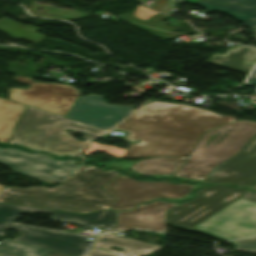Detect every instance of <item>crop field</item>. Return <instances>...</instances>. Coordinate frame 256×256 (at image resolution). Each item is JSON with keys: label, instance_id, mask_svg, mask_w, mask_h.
<instances>
[{"label": "crop field", "instance_id": "00972430", "mask_svg": "<svg viewBox=\"0 0 256 256\" xmlns=\"http://www.w3.org/2000/svg\"><path fill=\"white\" fill-rule=\"evenodd\" d=\"M166 1L167 0H156L155 3L152 6H150V8L158 11L163 7V5L166 3Z\"/></svg>", "mask_w": 256, "mask_h": 256}, {"label": "crop field", "instance_id": "cbeb9de0", "mask_svg": "<svg viewBox=\"0 0 256 256\" xmlns=\"http://www.w3.org/2000/svg\"><path fill=\"white\" fill-rule=\"evenodd\" d=\"M111 246L124 249L121 253L109 249ZM163 247L124 237L102 235L85 256H139L147 255Z\"/></svg>", "mask_w": 256, "mask_h": 256}, {"label": "crop field", "instance_id": "5a996713", "mask_svg": "<svg viewBox=\"0 0 256 256\" xmlns=\"http://www.w3.org/2000/svg\"><path fill=\"white\" fill-rule=\"evenodd\" d=\"M76 160H55L44 153L29 154L12 148L0 150V163L11 167L14 171L36 178L61 182L74 175L79 167L71 164Z\"/></svg>", "mask_w": 256, "mask_h": 256}, {"label": "crop field", "instance_id": "d9b57169", "mask_svg": "<svg viewBox=\"0 0 256 256\" xmlns=\"http://www.w3.org/2000/svg\"><path fill=\"white\" fill-rule=\"evenodd\" d=\"M27 106L0 99V142H7L18 125Z\"/></svg>", "mask_w": 256, "mask_h": 256}, {"label": "crop field", "instance_id": "34b2d1b8", "mask_svg": "<svg viewBox=\"0 0 256 256\" xmlns=\"http://www.w3.org/2000/svg\"><path fill=\"white\" fill-rule=\"evenodd\" d=\"M256 135V123L238 121L206 132L185 162L183 157H159L144 159L130 170L143 175H174L204 180L218 164L232 158Z\"/></svg>", "mask_w": 256, "mask_h": 256}, {"label": "crop field", "instance_id": "750c4746", "mask_svg": "<svg viewBox=\"0 0 256 256\" xmlns=\"http://www.w3.org/2000/svg\"><path fill=\"white\" fill-rule=\"evenodd\" d=\"M0 149H2V148L0 147Z\"/></svg>", "mask_w": 256, "mask_h": 256}, {"label": "crop field", "instance_id": "92a150f3", "mask_svg": "<svg viewBox=\"0 0 256 256\" xmlns=\"http://www.w3.org/2000/svg\"><path fill=\"white\" fill-rule=\"evenodd\" d=\"M156 12L152 11L149 8L143 7V6H139L137 7V9L134 12V16L144 20L148 17H150L151 15L155 14Z\"/></svg>", "mask_w": 256, "mask_h": 256}, {"label": "crop field", "instance_id": "bc2a9ffb", "mask_svg": "<svg viewBox=\"0 0 256 256\" xmlns=\"http://www.w3.org/2000/svg\"><path fill=\"white\" fill-rule=\"evenodd\" d=\"M95 150H100L107 154H112L117 157H123L128 149H118L116 147L105 146V145H98L94 141H91L88 148L85 150L84 155L94 153Z\"/></svg>", "mask_w": 256, "mask_h": 256}, {"label": "crop field", "instance_id": "ac0d7876", "mask_svg": "<svg viewBox=\"0 0 256 256\" xmlns=\"http://www.w3.org/2000/svg\"><path fill=\"white\" fill-rule=\"evenodd\" d=\"M120 174L117 171H103L92 165H84L75 177L53 189L3 188L0 202L78 213L108 209L115 197L101 187Z\"/></svg>", "mask_w": 256, "mask_h": 256}, {"label": "crop field", "instance_id": "e52e79f7", "mask_svg": "<svg viewBox=\"0 0 256 256\" xmlns=\"http://www.w3.org/2000/svg\"><path fill=\"white\" fill-rule=\"evenodd\" d=\"M197 186L186 183L174 185L169 182L136 181L121 174L102 188L116 197L109 209L131 210L139 203L160 197L174 199L185 197Z\"/></svg>", "mask_w": 256, "mask_h": 256}, {"label": "crop field", "instance_id": "dd49c442", "mask_svg": "<svg viewBox=\"0 0 256 256\" xmlns=\"http://www.w3.org/2000/svg\"><path fill=\"white\" fill-rule=\"evenodd\" d=\"M246 192L226 186L202 188L196 192L197 198L167 210L166 223L191 230Z\"/></svg>", "mask_w": 256, "mask_h": 256}, {"label": "crop field", "instance_id": "dafd665d", "mask_svg": "<svg viewBox=\"0 0 256 256\" xmlns=\"http://www.w3.org/2000/svg\"><path fill=\"white\" fill-rule=\"evenodd\" d=\"M223 3H246L256 7V0H215Z\"/></svg>", "mask_w": 256, "mask_h": 256}, {"label": "crop field", "instance_id": "8a807250", "mask_svg": "<svg viewBox=\"0 0 256 256\" xmlns=\"http://www.w3.org/2000/svg\"><path fill=\"white\" fill-rule=\"evenodd\" d=\"M235 120L188 105L154 101L116 128L129 131V141L141 140L129 148L124 158L188 157L205 131Z\"/></svg>", "mask_w": 256, "mask_h": 256}, {"label": "crop field", "instance_id": "22f410ed", "mask_svg": "<svg viewBox=\"0 0 256 256\" xmlns=\"http://www.w3.org/2000/svg\"><path fill=\"white\" fill-rule=\"evenodd\" d=\"M178 203L163 200L149 205H140L133 211L117 212V231L123 229H145L165 232V211Z\"/></svg>", "mask_w": 256, "mask_h": 256}, {"label": "crop field", "instance_id": "4177f3b9", "mask_svg": "<svg viewBox=\"0 0 256 256\" xmlns=\"http://www.w3.org/2000/svg\"><path fill=\"white\" fill-rule=\"evenodd\" d=\"M249 83L252 85L256 84V71L252 74V76L249 78Z\"/></svg>", "mask_w": 256, "mask_h": 256}, {"label": "crop field", "instance_id": "d3111659", "mask_svg": "<svg viewBox=\"0 0 256 256\" xmlns=\"http://www.w3.org/2000/svg\"><path fill=\"white\" fill-rule=\"evenodd\" d=\"M254 190H256V186L254 187Z\"/></svg>", "mask_w": 256, "mask_h": 256}, {"label": "crop field", "instance_id": "ae1a2a85", "mask_svg": "<svg viewBox=\"0 0 256 256\" xmlns=\"http://www.w3.org/2000/svg\"><path fill=\"white\" fill-rule=\"evenodd\" d=\"M3 188L4 187L0 185V195H1L2 191H3Z\"/></svg>", "mask_w": 256, "mask_h": 256}, {"label": "crop field", "instance_id": "412701ff", "mask_svg": "<svg viewBox=\"0 0 256 256\" xmlns=\"http://www.w3.org/2000/svg\"><path fill=\"white\" fill-rule=\"evenodd\" d=\"M38 212L53 215V221L74 222L85 226L84 228L89 230H92L93 226H112L111 232H115L116 211L79 215L0 204V236L4 237L5 229H15L20 232V237L15 239L16 241L56 250L72 256H82L84 254L86 248L91 244L86 242L87 237L85 236L14 223L19 213L31 214Z\"/></svg>", "mask_w": 256, "mask_h": 256}, {"label": "crop field", "instance_id": "a9b5d70f", "mask_svg": "<svg viewBox=\"0 0 256 256\" xmlns=\"http://www.w3.org/2000/svg\"><path fill=\"white\" fill-rule=\"evenodd\" d=\"M242 198L247 199V200L256 201V192L250 191V192L246 193Z\"/></svg>", "mask_w": 256, "mask_h": 256}, {"label": "crop field", "instance_id": "f4fd0767", "mask_svg": "<svg viewBox=\"0 0 256 256\" xmlns=\"http://www.w3.org/2000/svg\"><path fill=\"white\" fill-rule=\"evenodd\" d=\"M83 135L85 142L74 140L66 129ZM106 131L73 121L36 108L27 107L18 127L8 143L22 145L33 150H45L57 156H77V151L85 146L89 139L102 135ZM66 146V149H62Z\"/></svg>", "mask_w": 256, "mask_h": 256}, {"label": "crop field", "instance_id": "4a817a6b", "mask_svg": "<svg viewBox=\"0 0 256 256\" xmlns=\"http://www.w3.org/2000/svg\"><path fill=\"white\" fill-rule=\"evenodd\" d=\"M50 251L10 239L0 241V256H45Z\"/></svg>", "mask_w": 256, "mask_h": 256}, {"label": "crop field", "instance_id": "730fd06b", "mask_svg": "<svg viewBox=\"0 0 256 256\" xmlns=\"http://www.w3.org/2000/svg\"><path fill=\"white\" fill-rule=\"evenodd\" d=\"M48 256H68V255L57 253V252H51Z\"/></svg>", "mask_w": 256, "mask_h": 256}, {"label": "crop field", "instance_id": "d1516ede", "mask_svg": "<svg viewBox=\"0 0 256 256\" xmlns=\"http://www.w3.org/2000/svg\"><path fill=\"white\" fill-rule=\"evenodd\" d=\"M203 182L252 187L256 182V136L232 159L215 167Z\"/></svg>", "mask_w": 256, "mask_h": 256}, {"label": "crop field", "instance_id": "d8731c3e", "mask_svg": "<svg viewBox=\"0 0 256 256\" xmlns=\"http://www.w3.org/2000/svg\"><path fill=\"white\" fill-rule=\"evenodd\" d=\"M191 231L220 241L256 236V202L239 199Z\"/></svg>", "mask_w": 256, "mask_h": 256}, {"label": "crop field", "instance_id": "214f88e0", "mask_svg": "<svg viewBox=\"0 0 256 256\" xmlns=\"http://www.w3.org/2000/svg\"><path fill=\"white\" fill-rule=\"evenodd\" d=\"M232 243L237 245L234 247V250L256 252V238L250 240L233 241Z\"/></svg>", "mask_w": 256, "mask_h": 256}, {"label": "crop field", "instance_id": "5142ce71", "mask_svg": "<svg viewBox=\"0 0 256 256\" xmlns=\"http://www.w3.org/2000/svg\"><path fill=\"white\" fill-rule=\"evenodd\" d=\"M207 63L249 73L256 63V49L240 45L224 54L215 53Z\"/></svg>", "mask_w": 256, "mask_h": 256}, {"label": "crop field", "instance_id": "eef30255", "mask_svg": "<svg viewBox=\"0 0 256 256\" xmlns=\"http://www.w3.org/2000/svg\"><path fill=\"white\" fill-rule=\"evenodd\" d=\"M253 33H254V37L253 38H255L256 39V28L255 29H253Z\"/></svg>", "mask_w": 256, "mask_h": 256}, {"label": "crop field", "instance_id": "733c2abd", "mask_svg": "<svg viewBox=\"0 0 256 256\" xmlns=\"http://www.w3.org/2000/svg\"><path fill=\"white\" fill-rule=\"evenodd\" d=\"M196 4L214 11L225 13L252 29L256 27V9L253 7L246 5H226L210 0H201Z\"/></svg>", "mask_w": 256, "mask_h": 256}, {"label": "crop field", "instance_id": "28ad6ade", "mask_svg": "<svg viewBox=\"0 0 256 256\" xmlns=\"http://www.w3.org/2000/svg\"><path fill=\"white\" fill-rule=\"evenodd\" d=\"M102 97L94 94L79 97L67 118L109 131L133 111L132 107L107 104Z\"/></svg>", "mask_w": 256, "mask_h": 256}, {"label": "crop field", "instance_id": "3316defc", "mask_svg": "<svg viewBox=\"0 0 256 256\" xmlns=\"http://www.w3.org/2000/svg\"><path fill=\"white\" fill-rule=\"evenodd\" d=\"M15 80L31 84L28 90L9 89V99L65 117L80 94L75 87L62 84L33 82V79L15 76Z\"/></svg>", "mask_w": 256, "mask_h": 256}]
</instances>
